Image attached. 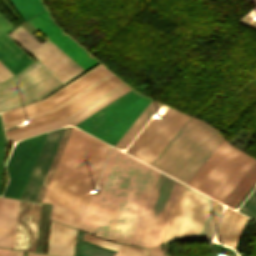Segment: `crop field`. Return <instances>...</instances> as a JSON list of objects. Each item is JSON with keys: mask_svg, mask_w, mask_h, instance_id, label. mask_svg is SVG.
Segmentation results:
<instances>
[{"mask_svg": "<svg viewBox=\"0 0 256 256\" xmlns=\"http://www.w3.org/2000/svg\"><path fill=\"white\" fill-rule=\"evenodd\" d=\"M159 173L113 148L78 228L130 244Z\"/></svg>", "mask_w": 256, "mask_h": 256, "instance_id": "obj_1", "label": "crop field"}, {"mask_svg": "<svg viewBox=\"0 0 256 256\" xmlns=\"http://www.w3.org/2000/svg\"><path fill=\"white\" fill-rule=\"evenodd\" d=\"M104 142L72 128L42 201L52 219L70 224Z\"/></svg>", "mask_w": 256, "mask_h": 256, "instance_id": "obj_2", "label": "crop field"}, {"mask_svg": "<svg viewBox=\"0 0 256 256\" xmlns=\"http://www.w3.org/2000/svg\"><path fill=\"white\" fill-rule=\"evenodd\" d=\"M222 139L216 129L191 117L151 166L186 184Z\"/></svg>", "mask_w": 256, "mask_h": 256, "instance_id": "obj_3", "label": "crop field"}, {"mask_svg": "<svg viewBox=\"0 0 256 256\" xmlns=\"http://www.w3.org/2000/svg\"><path fill=\"white\" fill-rule=\"evenodd\" d=\"M255 161L224 139L187 185L222 202Z\"/></svg>", "mask_w": 256, "mask_h": 256, "instance_id": "obj_4", "label": "crop field"}, {"mask_svg": "<svg viewBox=\"0 0 256 256\" xmlns=\"http://www.w3.org/2000/svg\"><path fill=\"white\" fill-rule=\"evenodd\" d=\"M184 186L160 173L131 244L145 247L160 244Z\"/></svg>", "mask_w": 256, "mask_h": 256, "instance_id": "obj_5", "label": "crop field"}, {"mask_svg": "<svg viewBox=\"0 0 256 256\" xmlns=\"http://www.w3.org/2000/svg\"><path fill=\"white\" fill-rule=\"evenodd\" d=\"M149 101L132 90L75 126L114 146Z\"/></svg>", "mask_w": 256, "mask_h": 256, "instance_id": "obj_6", "label": "crop field"}, {"mask_svg": "<svg viewBox=\"0 0 256 256\" xmlns=\"http://www.w3.org/2000/svg\"><path fill=\"white\" fill-rule=\"evenodd\" d=\"M65 84L39 60L0 83V111L40 99Z\"/></svg>", "mask_w": 256, "mask_h": 256, "instance_id": "obj_7", "label": "crop field"}, {"mask_svg": "<svg viewBox=\"0 0 256 256\" xmlns=\"http://www.w3.org/2000/svg\"><path fill=\"white\" fill-rule=\"evenodd\" d=\"M214 202L215 200L185 186L161 244L198 239Z\"/></svg>", "mask_w": 256, "mask_h": 256, "instance_id": "obj_8", "label": "crop field"}, {"mask_svg": "<svg viewBox=\"0 0 256 256\" xmlns=\"http://www.w3.org/2000/svg\"><path fill=\"white\" fill-rule=\"evenodd\" d=\"M10 35L65 83L85 71L51 41L46 40L41 44L21 26Z\"/></svg>", "mask_w": 256, "mask_h": 256, "instance_id": "obj_9", "label": "crop field"}, {"mask_svg": "<svg viewBox=\"0 0 256 256\" xmlns=\"http://www.w3.org/2000/svg\"><path fill=\"white\" fill-rule=\"evenodd\" d=\"M46 133L19 141L13 147L6 163L10 181L3 196L20 197Z\"/></svg>", "mask_w": 256, "mask_h": 256, "instance_id": "obj_10", "label": "crop field"}, {"mask_svg": "<svg viewBox=\"0 0 256 256\" xmlns=\"http://www.w3.org/2000/svg\"><path fill=\"white\" fill-rule=\"evenodd\" d=\"M28 22L53 41L85 70L98 63L96 59L53 23L47 10L42 11Z\"/></svg>", "mask_w": 256, "mask_h": 256, "instance_id": "obj_11", "label": "crop field"}, {"mask_svg": "<svg viewBox=\"0 0 256 256\" xmlns=\"http://www.w3.org/2000/svg\"><path fill=\"white\" fill-rule=\"evenodd\" d=\"M100 66L103 69H105L107 72H110L104 66H102L100 64V65L96 66L95 68H93L92 70H90L87 73H85L84 75L80 76L76 80L72 81L68 85L64 86L60 90L56 91L52 95L48 96L47 98L39 100V101L34 102L32 104L38 103L40 101L47 100L49 97L53 96L54 94L58 93L59 91L63 90L64 88L68 87L69 85L73 84L74 82H76L77 80L81 79L82 77H84L85 75L89 74L90 72H92L93 70L97 69ZM101 67L98 68L97 70L93 71L89 75L85 76L81 80L77 81L73 85L69 86L68 88L64 89L63 91L59 92L58 94L54 95L53 97L49 98L45 102H41V103L35 104L33 106H30L32 104L26 105V106H30V107L22 106V107H26V108H23V109H19V108H22V107L16 108V109H19V110L13 109L15 111L9 110V111H12V112H9V111L3 112L2 114L9 112V113L3 115L4 121L8 122V121H11V120H14V119H18V118H21V117H24V116H27V115H30V114H33V113H36V112H39V111H43V110H46V109H49V108H52V107L56 106L57 104L61 103L65 99L69 98L70 96H72L76 92L80 91L84 87L88 86L89 84H91L95 80H97L100 77H102L103 75L107 74V72L104 71Z\"/></svg>", "mask_w": 256, "mask_h": 256, "instance_id": "obj_12", "label": "crop field"}, {"mask_svg": "<svg viewBox=\"0 0 256 256\" xmlns=\"http://www.w3.org/2000/svg\"><path fill=\"white\" fill-rule=\"evenodd\" d=\"M65 128L47 133L20 198L36 199Z\"/></svg>", "mask_w": 256, "mask_h": 256, "instance_id": "obj_13", "label": "crop field"}, {"mask_svg": "<svg viewBox=\"0 0 256 256\" xmlns=\"http://www.w3.org/2000/svg\"><path fill=\"white\" fill-rule=\"evenodd\" d=\"M40 208L39 203L19 200L13 248L36 252Z\"/></svg>", "mask_w": 256, "mask_h": 256, "instance_id": "obj_14", "label": "crop field"}, {"mask_svg": "<svg viewBox=\"0 0 256 256\" xmlns=\"http://www.w3.org/2000/svg\"><path fill=\"white\" fill-rule=\"evenodd\" d=\"M130 89L132 88H130L129 86H127L125 83L122 82L63 119L8 136L7 138L12 141H16L18 139L31 136V135H34L52 128H56L65 124L71 123L74 125L77 122L84 119L85 117L92 114L93 112L97 111L101 107L105 106L109 102L113 101L117 97L121 96L125 92L129 91Z\"/></svg>", "mask_w": 256, "mask_h": 256, "instance_id": "obj_15", "label": "crop field"}, {"mask_svg": "<svg viewBox=\"0 0 256 256\" xmlns=\"http://www.w3.org/2000/svg\"><path fill=\"white\" fill-rule=\"evenodd\" d=\"M122 81H120L118 78H116L114 75L111 76L110 78L106 79L105 81H103L102 83L98 84L97 86H95L94 88H92L91 90L87 91L86 93H84L83 95L79 96L78 98H76L75 100H73L72 102L68 103L67 105H65L64 107L60 108L59 110L52 112V113H48L39 117H35L30 119L31 122L33 124L7 132L6 135H11L35 126H39L60 118H63L67 115H69L70 113H72L73 111L77 110L78 108H80L81 106L85 105L86 103H88L89 101L93 100L94 98L98 97L99 95H101L102 93L106 92L107 90H109L110 88L114 87L115 85H117L118 83H120Z\"/></svg>", "mask_w": 256, "mask_h": 256, "instance_id": "obj_16", "label": "crop field"}, {"mask_svg": "<svg viewBox=\"0 0 256 256\" xmlns=\"http://www.w3.org/2000/svg\"><path fill=\"white\" fill-rule=\"evenodd\" d=\"M0 28L6 34L14 29L1 15ZM1 29L0 62L14 74L33 61Z\"/></svg>", "mask_w": 256, "mask_h": 256, "instance_id": "obj_17", "label": "crop field"}, {"mask_svg": "<svg viewBox=\"0 0 256 256\" xmlns=\"http://www.w3.org/2000/svg\"><path fill=\"white\" fill-rule=\"evenodd\" d=\"M76 230L51 221L47 253L73 256Z\"/></svg>", "mask_w": 256, "mask_h": 256, "instance_id": "obj_18", "label": "crop field"}, {"mask_svg": "<svg viewBox=\"0 0 256 256\" xmlns=\"http://www.w3.org/2000/svg\"><path fill=\"white\" fill-rule=\"evenodd\" d=\"M247 219V217L227 208L216 231L217 240L235 249V243Z\"/></svg>", "mask_w": 256, "mask_h": 256, "instance_id": "obj_19", "label": "crop field"}, {"mask_svg": "<svg viewBox=\"0 0 256 256\" xmlns=\"http://www.w3.org/2000/svg\"><path fill=\"white\" fill-rule=\"evenodd\" d=\"M18 200L0 198V247L12 248Z\"/></svg>", "mask_w": 256, "mask_h": 256, "instance_id": "obj_20", "label": "crop field"}, {"mask_svg": "<svg viewBox=\"0 0 256 256\" xmlns=\"http://www.w3.org/2000/svg\"><path fill=\"white\" fill-rule=\"evenodd\" d=\"M109 150H110L109 145L104 144V146L102 148V151L100 153V156H99V158L97 160V163H96V165L94 167V170L92 172V175H91V177L89 179V182H88V184L86 186V189H85V191L83 193L81 201H80V203L78 205V208H77V210L75 212L73 220H72V222L70 224L71 226L78 227L79 222L81 220V217L83 215L84 209L86 207V204L88 202V199H89V197H90V195H91V193L93 191V188H94V186L96 184V181H97L98 176H99V174L101 172V169L103 167V164L105 162V159H106V157L108 155Z\"/></svg>", "mask_w": 256, "mask_h": 256, "instance_id": "obj_21", "label": "crop field"}, {"mask_svg": "<svg viewBox=\"0 0 256 256\" xmlns=\"http://www.w3.org/2000/svg\"><path fill=\"white\" fill-rule=\"evenodd\" d=\"M160 106L161 104L151 100L147 107L137 118V120L132 124V126L117 142L115 147L125 149L129 145V143L134 139V137L139 133V131L144 127V125L149 121V119L154 115V113L158 110Z\"/></svg>", "mask_w": 256, "mask_h": 256, "instance_id": "obj_22", "label": "crop field"}, {"mask_svg": "<svg viewBox=\"0 0 256 256\" xmlns=\"http://www.w3.org/2000/svg\"><path fill=\"white\" fill-rule=\"evenodd\" d=\"M84 239L101 247L119 250L115 256H146L147 250L107 242L85 233Z\"/></svg>", "mask_w": 256, "mask_h": 256, "instance_id": "obj_23", "label": "crop field"}, {"mask_svg": "<svg viewBox=\"0 0 256 256\" xmlns=\"http://www.w3.org/2000/svg\"><path fill=\"white\" fill-rule=\"evenodd\" d=\"M10 2L25 21L44 9L40 0H10Z\"/></svg>", "mask_w": 256, "mask_h": 256, "instance_id": "obj_24", "label": "crop field"}, {"mask_svg": "<svg viewBox=\"0 0 256 256\" xmlns=\"http://www.w3.org/2000/svg\"><path fill=\"white\" fill-rule=\"evenodd\" d=\"M223 207L215 202L213 209L209 215V218L206 222V225L202 231V234L199 239L201 240H211L213 233L215 231V228L218 224V221L220 219V216L222 214Z\"/></svg>", "mask_w": 256, "mask_h": 256, "instance_id": "obj_25", "label": "crop field"}, {"mask_svg": "<svg viewBox=\"0 0 256 256\" xmlns=\"http://www.w3.org/2000/svg\"><path fill=\"white\" fill-rule=\"evenodd\" d=\"M71 128H72V127H67L66 130H65V132H64V135H63V137H62V140H61V142H60V144H59V147H58V149H57V152H56V154H55V156H54V159H53V161H52V164H51V166H50V168H49V171H48V173H47V175H46V178H45V180H44V183H43V185H42V187H41V190H40L39 195H38V197H37L36 200L41 201L42 198H43V195H44V193H45V190H46V188H47V185H48L49 180H50V178H51V176H52V173H53L54 168H55V166H56V164H57V161H58L59 156H60V154H61V152H62V149H63V147H64V144H65L66 140H67V137H68V135H69V132H70ZM68 138H69V137H68Z\"/></svg>", "mask_w": 256, "mask_h": 256, "instance_id": "obj_26", "label": "crop field"}, {"mask_svg": "<svg viewBox=\"0 0 256 256\" xmlns=\"http://www.w3.org/2000/svg\"><path fill=\"white\" fill-rule=\"evenodd\" d=\"M111 75H113V74L110 72V73H109L108 75H106L105 77L101 78V79L98 80L97 82L93 83V84L90 85L89 87L85 88L84 90L80 91V92L77 93L76 95L72 96L71 98L67 99L66 101L62 102L61 104H59L58 106H56V107H54V108H52V109H49V110H46V111H43V112H40V113L31 115V116H27V117H24V118H21V119H18V120L9 122V123H6V124H4V126L9 125V124H13V123H16V122H19V121H22V120H26V119H29V118H32V117H35V116H39V115H42V114H45V113H48V112L55 111V110L59 109L60 107L64 106L65 104H67L68 102L72 101L73 99H75V98L78 97L79 95L83 94V93L86 92L87 90L91 89L92 87H94V86L97 85L98 83L102 82V81L105 80L106 78L110 77Z\"/></svg>", "mask_w": 256, "mask_h": 256, "instance_id": "obj_27", "label": "crop field"}, {"mask_svg": "<svg viewBox=\"0 0 256 256\" xmlns=\"http://www.w3.org/2000/svg\"><path fill=\"white\" fill-rule=\"evenodd\" d=\"M238 211L252 217L256 221V188L240 206Z\"/></svg>", "mask_w": 256, "mask_h": 256, "instance_id": "obj_28", "label": "crop field"}, {"mask_svg": "<svg viewBox=\"0 0 256 256\" xmlns=\"http://www.w3.org/2000/svg\"><path fill=\"white\" fill-rule=\"evenodd\" d=\"M5 143H6V138H5L3 126H2V123H1V119H0V183H1Z\"/></svg>", "mask_w": 256, "mask_h": 256, "instance_id": "obj_29", "label": "crop field"}, {"mask_svg": "<svg viewBox=\"0 0 256 256\" xmlns=\"http://www.w3.org/2000/svg\"><path fill=\"white\" fill-rule=\"evenodd\" d=\"M240 23L256 29V20H254L248 16L243 18V20Z\"/></svg>", "mask_w": 256, "mask_h": 256, "instance_id": "obj_30", "label": "crop field"}, {"mask_svg": "<svg viewBox=\"0 0 256 256\" xmlns=\"http://www.w3.org/2000/svg\"><path fill=\"white\" fill-rule=\"evenodd\" d=\"M0 75L6 80L7 78H9L10 76H12L13 74L8 71L1 63H0Z\"/></svg>", "mask_w": 256, "mask_h": 256, "instance_id": "obj_31", "label": "crop field"}, {"mask_svg": "<svg viewBox=\"0 0 256 256\" xmlns=\"http://www.w3.org/2000/svg\"><path fill=\"white\" fill-rule=\"evenodd\" d=\"M16 251L0 249V256H15Z\"/></svg>", "mask_w": 256, "mask_h": 256, "instance_id": "obj_32", "label": "crop field"}, {"mask_svg": "<svg viewBox=\"0 0 256 256\" xmlns=\"http://www.w3.org/2000/svg\"><path fill=\"white\" fill-rule=\"evenodd\" d=\"M0 2L15 18H18L6 0H0Z\"/></svg>", "mask_w": 256, "mask_h": 256, "instance_id": "obj_33", "label": "crop field"}, {"mask_svg": "<svg viewBox=\"0 0 256 256\" xmlns=\"http://www.w3.org/2000/svg\"><path fill=\"white\" fill-rule=\"evenodd\" d=\"M24 252L17 251L16 256H23Z\"/></svg>", "mask_w": 256, "mask_h": 256, "instance_id": "obj_34", "label": "crop field"}, {"mask_svg": "<svg viewBox=\"0 0 256 256\" xmlns=\"http://www.w3.org/2000/svg\"><path fill=\"white\" fill-rule=\"evenodd\" d=\"M27 256H45V255H38V254H31V253H28Z\"/></svg>", "mask_w": 256, "mask_h": 256, "instance_id": "obj_35", "label": "crop field"}, {"mask_svg": "<svg viewBox=\"0 0 256 256\" xmlns=\"http://www.w3.org/2000/svg\"><path fill=\"white\" fill-rule=\"evenodd\" d=\"M253 3H254V5L256 6V0H251Z\"/></svg>", "mask_w": 256, "mask_h": 256, "instance_id": "obj_36", "label": "crop field"}, {"mask_svg": "<svg viewBox=\"0 0 256 256\" xmlns=\"http://www.w3.org/2000/svg\"><path fill=\"white\" fill-rule=\"evenodd\" d=\"M4 79L0 76V81H3Z\"/></svg>", "mask_w": 256, "mask_h": 256, "instance_id": "obj_37", "label": "crop field"}]
</instances>
